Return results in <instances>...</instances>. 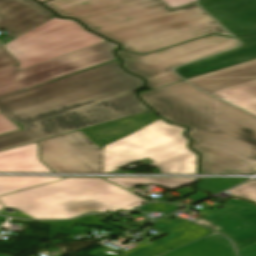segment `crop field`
<instances>
[{"label": "crop field", "mask_w": 256, "mask_h": 256, "mask_svg": "<svg viewBox=\"0 0 256 256\" xmlns=\"http://www.w3.org/2000/svg\"><path fill=\"white\" fill-rule=\"evenodd\" d=\"M234 36L256 34V0H199Z\"/></svg>", "instance_id": "crop-field-12"}, {"label": "crop field", "mask_w": 256, "mask_h": 256, "mask_svg": "<svg viewBox=\"0 0 256 256\" xmlns=\"http://www.w3.org/2000/svg\"><path fill=\"white\" fill-rule=\"evenodd\" d=\"M64 178L58 177H0V196L39 186ZM4 209L0 203V210Z\"/></svg>", "instance_id": "crop-field-18"}, {"label": "crop field", "mask_w": 256, "mask_h": 256, "mask_svg": "<svg viewBox=\"0 0 256 256\" xmlns=\"http://www.w3.org/2000/svg\"><path fill=\"white\" fill-rule=\"evenodd\" d=\"M11 220L16 222H41V223L45 222V221H21V220H15V219H11ZM75 222L85 224V225H98V226L104 227L103 225L100 224V220L93 215H88L72 221L48 222L45 225L58 227V228H74Z\"/></svg>", "instance_id": "crop-field-21"}, {"label": "crop field", "mask_w": 256, "mask_h": 256, "mask_svg": "<svg viewBox=\"0 0 256 256\" xmlns=\"http://www.w3.org/2000/svg\"><path fill=\"white\" fill-rule=\"evenodd\" d=\"M162 256H236L229 240L213 234Z\"/></svg>", "instance_id": "crop-field-17"}, {"label": "crop field", "mask_w": 256, "mask_h": 256, "mask_svg": "<svg viewBox=\"0 0 256 256\" xmlns=\"http://www.w3.org/2000/svg\"><path fill=\"white\" fill-rule=\"evenodd\" d=\"M0 220H7L5 217H0Z\"/></svg>", "instance_id": "crop-field-27"}, {"label": "crop field", "mask_w": 256, "mask_h": 256, "mask_svg": "<svg viewBox=\"0 0 256 256\" xmlns=\"http://www.w3.org/2000/svg\"><path fill=\"white\" fill-rule=\"evenodd\" d=\"M155 114L147 113L121 121L80 131L98 147L115 142L156 121Z\"/></svg>", "instance_id": "crop-field-15"}, {"label": "crop field", "mask_w": 256, "mask_h": 256, "mask_svg": "<svg viewBox=\"0 0 256 256\" xmlns=\"http://www.w3.org/2000/svg\"><path fill=\"white\" fill-rule=\"evenodd\" d=\"M20 129L10 119H8L2 112L0 113V134Z\"/></svg>", "instance_id": "crop-field-23"}, {"label": "crop field", "mask_w": 256, "mask_h": 256, "mask_svg": "<svg viewBox=\"0 0 256 256\" xmlns=\"http://www.w3.org/2000/svg\"><path fill=\"white\" fill-rule=\"evenodd\" d=\"M107 180L116 183L120 186L130 189L134 185H145L154 183L165 187L166 189L174 190L185 184L194 183L197 179H168V178H107Z\"/></svg>", "instance_id": "crop-field-19"}, {"label": "crop field", "mask_w": 256, "mask_h": 256, "mask_svg": "<svg viewBox=\"0 0 256 256\" xmlns=\"http://www.w3.org/2000/svg\"><path fill=\"white\" fill-rule=\"evenodd\" d=\"M237 39L243 43L242 47L177 68L175 71L188 79L256 59V36Z\"/></svg>", "instance_id": "crop-field-14"}, {"label": "crop field", "mask_w": 256, "mask_h": 256, "mask_svg": "<svg viewBox=\"0 0 256 256\" xmlns=\"http://www.w3.org/2000/svg\"><path fill=\"white\" fill-rule=\"evenodd\" d=\"M0 172H51L38 160L37 144L0 153Z\"/></svg>", "instance_id": "crop-field-16"}, {"label": "crop field", "mask_w": 256, "mask_h": 256, "mask_svg": "<svg viewBox=\"0 0 256 256\" xmlns=\"http://www.w3.org/2000/svg\"><path fill=\"white\" fill-rule=\"evenodd\" d=\"M243 180L246 179H201L198 188L215 194Z\"/></svg>", "instance_id": "crop-field-20"}, {"label": "crop field", "mask_w": 256, "mask_h": 256, "mask_svg": "<svg viewBox=\"0 0 256 256\" xmlns=\"http://www.w3.org/2000/svg\"><path fill=\"white\" fill-rule=\"evenodd\" d=\"M106 41L75 21L56 17L3 47L19 62V70Z\"/></svg>", "instance_id": "crop-field-6"}, {"label": "crop field", "mask_w": 256, "mask_h": 256, "mask_svg": "<svg viewBox=\"0 0 256 256\" xmlns=\"http://www.w3.org/2000/svg\"><path fill=\"white\" fill-rule=\"evenodd\" d=\"M228 192L234 196L250 199L256 202V181H251Z\"/></svg>", "instance_id": "crop-field-22"}, {"label": "crop field", "mask_w": 256, "mask_h": 256, "mask_svg": "<svg viewBox=\"0 0 256 256\" xmlns=\"http://www.w3.org/2000/svg\"><path fill=\"white\" fill-rule=\"evenodd\" d=\"M39 144L43 162L55 173H103L102 151L79 131Z\"/></svg>", "instance_id": "crop-field-9"}, {"label": "crop field", "mask_w": 256, "mask_h": 256, "mask_svg": "<svg viewBox=\"0 0 256 256\" xmlns=\"http://www.w3.org/2000/svg\"><path fill=\"white\" fill-rule=\"evenodd\" d=\"M120 60L0 99L24 129L0 136V150L149 111L136 97L144 85Z\"/></svg>", "instance_id": "crop-field-1"}, {"label": "crop field", "mask_w": 256, "mask_h": 256, "mask_svg": "<svg viewBox=\"0 0 256 256\" xmlns=\"http://www.w3.org/2000/svg\"><path fill=\"white\" fill-rule=\"evenodd\" d=\"M162 1H164L171 8H174V7L185 5V4H188V3H192L196 0H162Z\"/></svg>", "instance_id": "crop-field-25"}, {"label": "crop field", "mask_w": 256, "mask_h": 256, "mask_svg": "<svg viewBox=\"0 0 256 256\" xmlns=\"http://www.w3.org/2000/svg\"><path fill=\"white\" fill-rule=\"evenodd\" d=\"M4 207L20 212L0 214L21 218L63 219L89 211L129 210L146 200L101 178H66L0 197Z\"/></svg>", "instance_id": "crop-field-4"}, {"label": "crop field", "mask_w": 256, "mask_h": 256, "mask_svg": "<svg viewBox=\"0 0 256 256\" xmlns=\"http://www.w3.org/2000/svg\"><path fill=\"white\" fill-rule=\"evenodd\" d=\"M188 81L196 87L256 115V60Z\"/></svg>", "instance_id": "crop-field-10"}, {"label": "crop field", "mask_w": 256, "mask_h": 256, "mask_svg": "<svg viewBox=\"0 0 256 256\" xmlns=\"http://www.w3.org/2000/svg\"><path fill=\"white\" fill-rule=\"evenodd\" d=\"M226 203L229 206L213 213L210 221L233 241L239 256H256V206L236 198Z\"/></svg>", "instance_id": "crop-field-11"}, {"label": "crop field", "mask_w": 256, "mask_h": 256, "mask_svg": "<svg viewBox=\"0 0 256 256\" xmlns=\"http://www.w3.org/2000/svg\"><path fill=\"white\" fill-rule=\"evenodd\" d=\"M240 45L236 40L209 35L148 55L116 51L122 66L132 74L143 77L149 89L182 81L171 72L173 67Z\"/></svg>", "instance_id": "crop-field-7"}, {"label": "crop field", "mask_w": 256, "mask_h": 256, "mask_svg": "<svg viewBox=\"0 0 256 256\" xmlns=\"http://www.w3.org/2000/svg\"><path fill=\"white\" fill-rule=\"evenodd\" d=\"M92 31L145 54L202 35L230 36L195 3L171 9L160 0H55L43 3Z\"/></svg>", "instance_id": "crop-field-3"}, {"label": "crop field", "mask_w": 256, "mask_h": 256, "mask_svg": "<svg viewBox=\"0 0 256 256\" xmlns=\"http://www.w3.org/2000/svg\"><path fill=\"white\" fill-rule=\"evenodd\" d=\"M119 45L106 41L61 58L18 71V64L0 70V97L88 68L117 60Z\"/></svg>", "instance_id": "crop-field-8"}, {"label": "crop field", "mask_w": 256, "mask_h": 256, "mask_svg": "<svg viewBox=\"0 0 256 256\" xmlns=\"http://www.w3.org/2000/svg\"><path fill=\"white\" fill-rule=\"evenodd\" d=\"M186 129L158 120L155 123L104 147L105 172L151 158L161 173H196L197 155L187 148L182 135ZM108 151V152H107Z\"/></svg>", "instance_id": "crop-field-5"}, {"label": "crop field", "mask_w": 256, "mask_h": 256, "mask_svg": "<svg viewBox=\"0 0 256 256\" xmlns=\"http://www.w3.org/2000/svg\"><path fill=\"white\" fill-rule=\"evenodd\" d=\"M39 1L43 2V1H47V0H39Z\"/></svg>", "instance_id": "crop-field-28"}, {"label": "crop field", "mask_w": 256, "mask_h": 256, "mask_svg": "<svg viewBox=\"0 0 256 256\" xmlns=\"http://www.w3.org/2000/svg\"><path fill=\"white\" fill-rule=\"evenodd\" d=\"M18 62L12 58L3 47L0 48V69L12 66Z\"/></svg>", "instance_id": "crop-field-24"}, {"label": "crop field", "mask_w": 256, "mask_h": 256, "mask_svg": "<svg viewBox=\"0 0 256 256\" xmlns=\"http://www.w3.org/2000/svg\"><path fill=\"white\" fill-rule=\"evenodd\" d=\"M55 17L34 0H0V29L16 38Z\"/></svg>", "instance_id": "crop-field-13"}, {"label": "crop field", "mask_w": 256, "mask_h": 256, "mask_svg": "<svg viewBox=\"0 0 256 256\" xmlns=\"http://www.w3.org/2000/svg\"><path fill=\"white\" fill-rule=\"evenodd\" d=\"M170 122L191 128L192 148L201 153L202 173L256 172V117L206 95L187 82L141 93Z\"/></svg>", "instance_id": "crop-field-2"}, {"label": "crop field", "mask_w": 256, "mask_h": 256, "mask_svg": "<svg viewBox=\"0 0 256 256\" xmlns=\"http://www.w3.org/2000/svg\"><path fill=\"white\" fill-rule=\"evenodd\" d=\"M178 192L181 193L182 195L186 196V195L190 194L191 192H193V190L184 188L182 190H179Z\"/></svg>", "instance_id": "crop-field-26"}]
</instances>
